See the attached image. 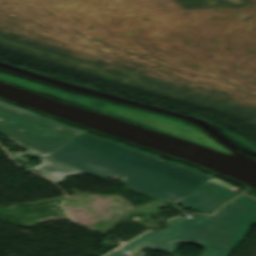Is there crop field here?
Masks as SVG:
<instances>
[{
	"mask_svg": "<svg viewBox=\"0 0 256 256\" xmlns=\"http://www.w3.org/2000/svg\"><path fill=\"white\" fill-rule=\"evenodd\" d=\"M48 156L82 172L120 175L130 188L174 203L210 178L86 132Z\"/></svg>",
	"mask_w": 256,
	"mask_h": 256,
	"instance_id": "8a807250",
	"label": "crop field"
},
{
	"mask_svg": "<svg viewBox=\"0 0 256 256\" xmlns=\"http://www.w3.org/2000/svg\"><path fill=\"white\" fill-rule=\"evenodd\" d=\"M256 222V200L241 195L225 205L214 216L198 215L197 220L174 218L168 228L150 232L122 246L129 248H154L166 252L178 250L177 243L185 241L229 253Z\"/></svg>",
	"mask_w": 256,
	"mask_h": 256,
	"instance_id": "ac0d7876",
	"label": "crop field"
},
{
	"mask_svg": "<svg viewBox=\"0 0 256 256\" xmlns=\"http://www.w3.org/2000/svg\"><path fill=\"white\" fill-rule=\"evenodd\" d=\"M82 132L0 102V133L21 147L37 153L34 157L43 160V162L32 169L57 183L63 182L62 178L81 174L82 172L46 155L71 141Z\"/></svg>",
	"mask_w": 256,
	"mask_h": 256,
	"instance_id": "34b2d1b8",
	"label": "crop field"
},
{
	"mask_svg": "<svg viewBox=\"0 0 256 256\" xmlns=\"http://www.w3.org/2000/svg\"><path fill=\"white\" fill-rule=\"evenodd\" d=\"M100 110L115 112L119 115L138 121L150 127L164 130L184 139L209 146L225 153H229L224 148H222L200 132L181 123L109 104L100 108Z\"/></svg>",
	"mask_w": 256,
	"mask_h": 256,
	"instance_id": "412701ff",
	"label": "crop field"
},
{
	"mask_svg": "<svg viewBox=\"0 0 256 256\" xmlns=\"http://www.w3.org/2000/svg\"><path fill=\"white\" fill-rule=\"evenodd\" d=\"M236 190L238 189L211 177L179 204L206 214H212L222 204L238 195Z\"/></svg>",
	"mask_w": 256,
	"mask_h": 256,
	"instance_id": "f4fd0767",
	"label": "crop field"
},
{
	"mask_svg": "<svg viewBox=\"0 0 256 256\" xmlns=\"http://www.w3.org/2000/svg\"><path fill=\"white\" fill-rule=\"evenodd\" d=\"M24 154L33 156L35 153L27 150ZM10 155L12 156L13 159L23 162L25 167H29V168L33 167V166L25 165L28 161L21 158L23 155H21L20 152H12L10 153Z\"/></svg>",
	"mask_w": 256,
	"mask_h": 256,
	"instance_id": "dd49c442",
	"label": "crop field"
},
{
	"mask_svg": "<svg viewBox=\"0 0 256 256\" xmlns=\"http://www.w3.org/2000/svg\"><path fill=\"white\" fill-rule=\"evenodd\" d=\"M202 256H227V254L206 248Z\"/></svg>",
	"mask_w": 256,
	"mask_h": 256,
	"instance_id": "e52e79f7",
	"label": "crop field"
},
{
	"mask_svg": "<svg viewBox=\"0 0 256 256\" xmlns=\"http://www.w3.org/2000/svg\"><path fill=\"white\" fill-rule=\"evenodd\" d=\"M106 256H129V255H127L125 253H122L120 251H114V252H112V253H110V254H108Z\"/></svg>",
	"mask_w": 256,
	"mask_h": 256,
	"instance_id": "d8731c3e",
	"label": "crop field"
}]
</instances>
